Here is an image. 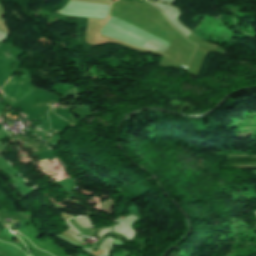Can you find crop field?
<instances>
[{
  "label": "crop field",
  "mask_w": 256,
  "mask_h": 256,
  "mask_svg": "<svg viewBox=\"0 0 256 256\" xmlns=\"http://www.w3.org/2000/svg\"><path fill=\"white\" fill-rule=\"evenodd\" d=\"M248 160H256V159H252V158H235V159H228L229 162L248 161Z\"/></svg>",
  "instance_id": "crop-field-1"
},
{
  "label": "crop field",
  "mask_w": 256,
  "mask_h": 256,
  "mask_svg": "<svg viewBox=\"0 0 256 256\" xmlns=\"http://www.w3.org/2000/svg\"><path fill=\"white\" fill-rule=\"evenodd\" d=\"M246 164H256L255 162H238V163H230L231 166H236V165H246Z\"/></svg>",
  "instance_id": "crop-field-2"
}]
</instances>
